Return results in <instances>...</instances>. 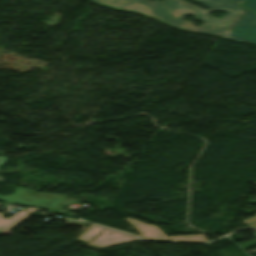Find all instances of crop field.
<instances>
[{
  "instance_id": "obj_1",
  "label": "crop field",
  "mask_w": 256,
  "mask_h": 256,
  "mask_svg": "<svg viewBox=\"0 0 256 256\" xmlns=\"http://www.w3.org/2000/svg\"><path fill=\"white\" fill-rule=\"evenodd\" d=\"M194 1L211 8V10L203 11L184 2V0H163L162 3L149 0H92L91 2L121 10L142 13L175 28L216 36L222 34L240 7L230 0ZM218 10L228 11L225 18L219 20L208 15ZM188 14L196 16V19L205 23L201 28L192 26V22L184 21Z\"/></svg>"
},
{
  "instance_id": "obj_13",
  "label": "crop field",
  "mask_w": 256,
  "mask_h": 256,
  "mask_svg": "<svg viewBox=\"0 0 256 256\" xmlns=\"http://www.w3.org/2000/svg\"><path fill=\"white\" fill-rule=\"evenodd\" d=\"M248 226L256 227V222H255V223H253V224H250V225H248Z\"/></svg>"
},
{
  "instance_id": "obj_10",
  "label": "crop field",
  "mask_w": 256,
  "mask_h": 256,
  "mask_svg": "<svg viewBox=\"0 0 256 256\" xmlns=\"http://www.w3.org/2000/svg\"><path fill=\"white\" fill-rule=\"evenodd\" d=\"M254 184L256 185V182H255ZM254 221H256V216H254V217H252V218H250V219H247V220H245V221H243V222L246 223V224H248V223H251V222H254Z\"/></svg>"
},
{
  "instance_id": "obj_12",
  "label": "crop field",
  "mask_w": 256,
  "mask_h": 256,
  "mask_svg": "<svg viewBox=\"0 0 256 256\" xmlns=\"http://www.w3.org/2000/svg\"><path fill=\"white\" fill-rule=\"evenodd\" d=\"M233 1H235V2H237L238 4L242 5V3H243L244 0H233Z\"/></svg>"
},
{
  "instance_id": "obj_14",
  "label": "crop field",
  "mask_w": 256,
  "mask_h": 256,
  "mask_svg": "<svg viewBox=\"0 0 256 256\" xmlns=\"http://www.w3.org/2000/svg\"><path fill=\"white\" fill-rule=\"evenodd\" d=\"M2 204L0 203V206H1Z\"/></svg>"
},
{
  "instance_id": "obj_5",
  "label": "crop field",
  "mask_w": 256,
  "mask_h": 256,
  "mask_svg": "<svg viewBox=\"0 0 256 256\" xmlns=\"http://www.w3.org/2000/svg\"><path fill=\"white\" fill-rule=\"evenodd\" d=\"M110 233H113V235H111ZM110 237L112 239H109ZM134 240H139V239H136L131 235L104 229L99 235H97L89 243L101 249V248H105V247H109V246H113V245H117L125 242H130Z\"/></svg>"
},
{
  "instance_id": "obj_3",
  "label": "crop field",
  "mask_w": 256,
  "mask_h": 256,
  "mask_svg": "<svg viewBox=\"0 0 256 256\" xmlns=\"http://www.w3.org/2000/svg\"><path fill=\"white\" fill-rule=\"evenodd\" d=\"M221 36L256 44V13L240 7Z\"/></svg>"
},
{
  "instance_id": "obj_6",
  "label": "crop field",
  "mask_w": 256,
  "mask_h": 256,
  "mask_svg": "<svg viewBox=\"0 0 256 256\" xmlns=\"http://www.w3.org/2000/svg\"><path fill=\"white\" fill-rule=\"evenodd\" d=\"M33 211H34V209H30L26 212L20 211L21 213L14 215L13 217H11L8 220L1 218L3 216V214H0V232L3 231L4 229H6L7 227L11 226L12 224L16 223L20 219L24 218L25 216H27L28 214H30Z\"/></svg>"
},
{
  "instance_id": "obj_4",
  "label": "crop field",
  "mask_w": 256,
  "mask_h": 256,
  "mask_svg": "<svg viewBox=\"0 0 256 256\" xmlns=\"http://www.w3.org/2000/svg\"><path fill=\"white\" fill-rule=\"evenodd\" d=\"M133 227H135L141 236L144 238H157V239H168L156 226L147 225L140 221H137L132 218H126ZM171 240H197V241H206L203 234L201 235H189V236H174L170 237Z\"/></svg>"
},
{
  "instance_id": "obj_11",
  "label": "crop field",
  "mask_w": 256,
  "mask_h": 256,
  "mask_svg": "<svg viewBox=\"0 0 256 256\" xmlns=\"http://www.w3.org/2000/svg\"><path fill=\"white\" fill-rule=\"evenodd\" d=\"M8 158L6 157H0V167L6 162Z\"/></svg>"
},
{
  "instance_id": "obj_7",
  "label": "crop field",
  "mask_w": 256,
  "mask_h": 256,
  "mask_svg": "<svg viewBox=\"0 0 256 256\" xmlns=\"http://www.w3.org/2000/svg\"><path fill=\"white\" fill-rule=\"evenodd\" d=\"M104 228L92 225L86 232H84L78 239L89 242L92 240L98 233H100Z\"/></svg>"
},
{
  "instance_id": "obj_2",
  "label": "crop field",
  "mask_w": 256,
  "mask_h": 256,
  "mask_svg": "<svg viewBox=\"0 0 256 256\" xmlns=\"http://www.w3.org/2000/svg\"><path fill=\"white\" fill-rule=\"evenodd\" d=\"M65 196L53 193H37L34 190L17 187L10 196L0 195V200L59 213Z\"/></svg>"
},
{
  "instance_id": "obj_8",
  "label": "crop field",
  "mask_w": 256,
  "mask_h": 256,
  "mask_svg": "<svg viewBox=\"0 0 256 256\" xmlns=\"http://www.w3.org/2000/svg\"><path fill=\"white\" fill-rule=\"evenodd\" d=\"M253 236L256 238V229H255V231H254V233H253ZM254 245H256V239H253V240H251V241H248V242H245V243H243V244H240V246H241L243 249L248 248V247H251V246H254Z\"/></svg>"
},
{
  "instance_id": "obj_9",
  "label": "crop field",
  "mask_w": 256,
  "mask_h": 256,
  "mask_svg": "<svg viewBox=\"0 0 256 256\" xmlns=\"http://www.w3.org/2000/svg\"><path fill=\"white\" fill-rule=\"evenodd\" d=\"M243 5L256 11V0H245Z\"/></svg>"
}]
</instances>
